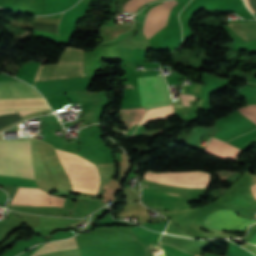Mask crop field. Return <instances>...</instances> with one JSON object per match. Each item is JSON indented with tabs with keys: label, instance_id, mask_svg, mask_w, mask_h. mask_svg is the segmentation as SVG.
I'll return each instance as SVG.
<instances>
[{
	"label": "crop field",
	"instance_id": "obj_1",
	"mask_svg": "<svg viewBox=\"0 0 256 256\" xmlns=\"http://www.w3.org/2000/svg\"><path fill=\"white\" fill-rule=\"evenodd\" d=\"M0 153H29L27 139L0 142ZM0 174L33 179L29 154H0Z\"/></svg>",
	"mask_w": 256,
	"mask_h": 256
},
{
	"label": "crop field",
	"instance_id": "obj_2",
	"mask_svg": "<svg viewBox=\"0 0 256 256\" xmlns=\"http://www.w3.org/2000/svg\"><path fill=\"white\" fill-rule=\"evenodd\" d=\"M80 76H84L83 49L66 47L57 64L40 66L36 81Z\"/></svg>",
	"mask_w": 256,
	"mask_h": 256
},
{
	"label": "crop field",
	"instance_id": "obj_3",
	"mask_svg": "<svg viewBox=\"0 0 256 256\" xmlns=\"http://www.w3.org/2000/svg\"><path fill=\"white\" fill-rule=\"evenodd\" d=\"M141 105L146 109L171 103L170 95L162 76L137 78Z\"/></svg>",
	"mask_w": 256,
	"mask_h": 256
},
{
	"label": "crop field",
	"instance_id": "obj_4",
	"mask_svg": "<svg viewBox=\"0 0 256 256\" xmlns=\"http://www.w3.org/2000/svg\"><path fill=\"white\" fill-rule=\"evenodd\" d=\"M23 97H42L36 90L23 82H0V98H23ZM50 108L40 109H21L3 110L0 115L6 113H20L21 116L32 112L49 110Z\"/></svg>",
	"mask_w": 256,
	"mask_h": 256
},
{
	"label": "crop field",
	"instance_id": "obj_5",
	"mask_svg": "<svg viewBox=\"0 0 256 256\" xmlns=\"http://www.w3.org/2000/svg\"><path fill=\"white\" fill-rule=\"evenodd\" d=\"M65 199L49 195L38 188H18L12 203L29 204V206H58L62 207ZM16 206H27L11 204Z\"/></svg>",
	"mask_w": 256,
	"mask_h": 256
},
{
	"label": "crop field",
	"instance_id": "obj_6",
	"mask_svg": "<svg viewBox=\"0 0 256 256\" xmlns=\"http://www.w3.org/2000/svg\"><path fill=\"white\" fill-rule=\"evenodd\" d=\"M254 222L256 221L238 217L233 211L220 210L209 216L204 225L218 230L242 231L247 225Z\"/></svg>",
	"mask_w": 256,
	"mask_h": 256
},
{
	"label": "crop field",
	"instance_id": "obj_7",
	"mask_svg": "<svg viewBox=\"0 0 256 256\" xmlns=\"http://www.w3.org/2000/svg\"><path fill=\"white\" fill-rule=\"evenodd\" d=\"M177 3L178 2L174 0H170V1H167L165 4L163 3L164 4L163 7H162L163 4L155 5L146 13L143 32L148 39L155 34L156 22H157L160 8L162 7L160 10V14L157 22L156 32L166 25L170 10Z\"/></svg>",
	"mask_w": 256,
	"mask_h": 256
},
{
	"label": "crop field",
	"instance_id": "obj_8",
	"mask_svg": "<svg viewBox=\"0 0 256 256\" xmlns=\"http://www.w3.org/2000/svg\"><path fill=\"white\" fill-rule=\"evenodd\" d=\"M145 109L132 108L119 110L120 118L125 127L129 130L136 123H139Z\"/></svg>",
	"mask_w": 256,
	"mask_h": 256
},
{
	"label": "crop field",
	"instance_id": "obj_9",
	"mask_svg": "<svg viewBox=\"0 0 256 256\" xmlns=\"http://www.w3.org/2000/svg\"><path fill=\"white\" fill-rule=\"evenodd\" d=\"M73 238H71V239H73ZM57 242H59V241H57ZM50 243H55V242H50ZM47 244H49V243H47ZM74 248H78L75 243V239L69 240V241H64V242H59V243H55V244L44 245L32 256H38L40 254L53 252V251H57V250L74 249Z\"/></svg>",
	"mask_w": 256,
	"mask_h": 256
},
{
	"label": "crop field",
	"instance_id": "obj_10",
	"mask_svg": "<svg viewBox=\"0 0 256 256\" xmlns=\"http://www.w3.org/2000/svg\"><path fill=\"white\" fill-rule=\"evenodd\" d=\"M246 40L256 39V24H230Z\"/></svg>",
	"mask_w": 256,
	"mask_h": 256
},
{
	"label": "crop field",
	"instance_id": "obj_11",
	"mask_svg": "<svg viewBox=\"0 0 256 256\" xmlns=\"http://www.w3.org/2000/svg\"><path fill=\"white\" fill-rule=\"evenodd\" d=\"M158 0H130L124 6V11L138 12L150 2Z\"/></svg>",
	"mask_w": 256,
	"mask_h": 256
},
{
	"label": "crop field",
	"instance_id": "obj_12",
	"mask_svg": "<svg viewBox=\"0 0 256 256\" xmlns=\"http://www.w3.org/2000/svg\"><path fill=\"white\" fill-rule=\"evenodd\" d=\"M237 50H256V41L241 42L233 44V51Z\"/></svg>",
	"mask_w": 256,
	"mask_h": 256
},
{
	"label": "crop field",
	"instance_id": "obj_13",
	"mask_svg": "<svg viewBox=\"0 0 256 256\" xmlns=\"http://www.w3.org/2000/svg\"><path fill=\"white\" fill-rule=\"evenodd\" d=\"M239 111L256 124V105L241 108Z\"/></svg>",
	"mask_w": 256,
	"mask_h": 256
},
{
	"label": "crop field",
	"instance_id": "obj_14",
	"mask_svg": "<svg viewBox=\"0 0 256 256\" xmlns=\"http://www.w3.org/2000/svg\"><path fill=\"white\" fill-rule=\"evenodd\" d=\"M182 96H183V99H184V102H185L186 106H190L189 103H188V100H195V96H190V95H182ZM182 96H181V99H182ZM183 99H182V102H183ZM184 102H183V104H184Z\"/></svg>",
	"mask_w": 256,
	"mask_h": 256
},
{
	"label": "crop field",
	"instance_id": "obj_15",
	"mask_svg": "<svg viewBox=\"0 0 256 256\" xmlns=\"http://www.w3.org/2000/svg\"><path fill=\"white\" fill-rule=\"evenodd\" d=\"M249 243L256 244V234L253 236V238L249 241Z\"/></svg>",
	"mask_w": 256,
	"mask_h": 256
},
{
	"label": "crop field",
	"instance_id": "obj_16",
	"mask_svg": "<svg viewBox=\"0 0 256 256\" xmlns=\"http://www.w3.org/2000/svg\"><path fill=\"white\" fill-rule=\"evenodd\" d=\"M175 107H183L182 105H175Z\"/></svg>",
	"mask_w": 256,
	"mask_h": 256
},
{
	"label": "crop field",
	"instance_id": "obj_17",
	"mask_svg": "<svg viewBox=\"0 0 256 256\" xmlns=\"http://www.w3.org/2000/svg\"><path fill=\"white\" fill-rule=\"evenodd\" d=\"M256 16V14H254Z\"/></svg>",
	"mask_w": 256,
	"mask_h": 256
}]
</instances>
